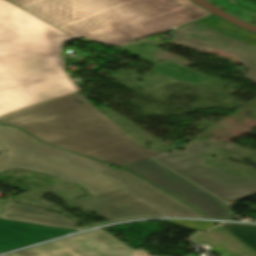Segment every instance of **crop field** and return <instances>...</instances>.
Segmentation results:
<instances>
[{
  "label": "crop field",
  "mask_w": 256,
  "mask_h": 256,
  "mask_svg": "<svg viewBox=\"0 0 256 256\" xmlns=\"http://www.w3.org/2000/svg\"><path fill=\"white\" fill-rule=\"evenodd\" d=\"M223 227L256 252L255 225L226 223L223 225Z\"/></svg>",
  "instance_id": "obj_12"
},
{
  "label": "crop field",
  "mask_w": 256,
  "mask_h": 256,
  "mask_svg": "<svg viewBox=\"0 0 256 256\" xmlns=\"http://www.w3.org/2000/svg\"><path fill=\"white\" fill-rule=\"evenodd\" d=\"M6 256H8V255H6Z\"/></svg>",
  "instance_id": "obj_17"
},
{
  "label": "crop field",
  "mask_w": 256,
  "mask_h": 256,
  "mask_svg": "<svg viewBox=\"0 0 256 256\" xmlns=\"http://www.w3.org/2000/svg\"><path fill=\"white\" fill-rule=\"evenodd\" d=\"M187 150L155 158L215 195L228 201H236L256 195V181L228 175L216 166L207 167L203 153L209 151L202 143L191 141L184 146Z\"/></svg>",
  "instance_id": "obj_5"
},
{
  "label": "crop field",
  "mask_w": 256,
  "mask_h": 256,
  "mask_svg": "<svg viewBox=\"0 0 256 256\" xmlns=\"http://www.w3.org/2000/svg\"><path fill=\"white\" fill-rule=\"evenodd\" d=\"M7 203H8V200L0 199V217H2V215H3L4 211H5Z\"/></svg>",
  "instance_id": "obj_14"
},
{
  "label": "crop field",
  "mask_w": 256,
  "mask_h": 256,
  "mask_svg": "<svg viewBox=\"0 0 256 256\" xmlns=\"http://www.w3.org/2000/svg\"><path fill=\"white\" fill-rule=\"evenodd\" d=\"M0 121L20 127L45 143L116 166L164 154L134 141L79 92Z\"/></svg>",
  "instance_id": "obj_4"
},
{
  "label": "crop field",
  "mask_w": 256,
  "mask_h": 256,
  "mask_svg": "<svg viewBox=\"0 0 256 256\" xmlns=\"http://www.w3.org/2000/svg\"><path fill=\"white\" fill-rule=\"evenodd\" d=\"M193 240L197 242H207L212 246L223 249L233 255L249 250L220 227L202 232L194 236Z\"/></svg>",
  "instance_id": "obj_11"
},
{
  "label": "crop field",
  "mask_w": 256,
  "mask_h": 256,
  "mask_svg": "<svg viewBox=\"0 0 256 256\" xmlns=\"http://www.w3.org/2000/svg\"><path fill=\"white\" fill-rule=\"evenodd\" d=\"M73 37L0 0V90L63 70L61 45ZM76 91L66 72L0 92V116Z\"/></svg>",
  "instance_id": "obj_2"
},
{
  "label": "crop field",
  "mask_w": 256,
  "mask_h": 256,
  "mask_svg": "<svg viewBox=\"0 0 256 256\" xmlns=\"http://www.w3.org/2000/svg\"><path fill=\"white\" fill-rule=\"evenodd\" d=\"M67 33L123 45L212 15L190 0H10Z\"/></svg>",
  "instance_id": "obj_3"
},
{
  "label": "crop field",
  "mask_w": 256,
  "mask_h": 256,
  "mask_svg": "<svg viewBox=\"0 0 256 256\" xmlns=\"http://www.w3.org/2000/svg\"><path fill=\"white\" fill-rule=\"evenodd\" d=\"M169 42L202 49L222 50L237 57L250 71L247 77L256 80V35L221 19H205L175 31Z\"/></svg>",
  "instance_id": "obj_6"
},
{
  "label": "crop field",
  "mask_w": 256,
  "mask_h": 256,
  "mask_svg": "<svg viewBox=\"0 0 256 256\" xmlns=\"http://www.w3.org/2000/svg\"><path fill=\"white\" fill-rule=\"evenodd\" d=\"M10 256H151L144 249L132 250L103 230H95L19 251Z\"/></svg>",
  "instance_id": "obj_8"
},
{
  "label": "crop field",
  "mask_w": 256,
  "mask_h": 256,
  "mask_svg": "<svg viewBox=\"0 0 256 256\" xmlns=\"http://www.w3.org/2000/svg\"><path fill=\"white\" fill-rule=\"evenodd\" d=\"M6 218L39 222L47 225L75 228L76 224L65 216L22 205L11 204Z\"/></svg>",
  "instance_id": "obj_10"
},
{
  "label": "crop field",
  "mask_w": 256,
  "mask_h": 256,
  "mask_svg": "<svg viewBox=\"0 0 256 256\" xmlns=\"http://www.w3.org/2000/svg\"><path fill=\"white\" fill-rule=\"evenodd\" d=\"M167 191L209 218L232 220L230 206L152 159L122 166Z\"/></svg>",
  "instance_id": "obj_7"
},
{
  "label": "crop field",
  "mask_w": 256,
  "mask_h": 256,
  "mask_svg": "<svg viewBox=\"0 0 256 256\" xmlns=\"http://www.w3.org/2000/svg\"><path fill=\"white\" fill-rule=\"evenodd\" d=\"M0 141L6 148L0 173L23 168L77 182L93 196L74 202L109 222L163 215L204 217L127 170L46 145L23 130L1 126Z\"/></svg>",
  "instance_id": "obj_1"
},
{
  "label": "crop field",
  "mask_w": 256,
  "mask_h": 256,
  "mask_svg": "<svg viewBox=\"0 0 256 256\" xmlns=\"http://www.w3.org/2000/svg\"><path fill=\"white\" fill-rule=\"evenodd\" d=\"M179 226H183L186 228H190L193 230H205L209 229L215 225H217L214 222H203V221H179V220H172V221H167Z\"/></svg>",
  "instance_id": "obj_13"
},
{
  "label": "crop field",
  "mask_w": 256,
  "mask_h": 256,
  "mask_svg": "<svg viewBox=\"0 0 256 256\" xmlns=\"http://www.w3.org/2000/svg\"><path fill=\"white\" fill-rule=\"evenodd\" d=\"M1 155H2V149H1V147H0V157H1Z\"/></svg>",
  "instance_id": "obj_16"
},
{
  "label": "crop field",
  "mask_w": 256,
  "mask_h": 256,
  "mask_svg": "<svg viewBox=\"0 0 256 256\" xmlns=\"http://www.w3.org/2000/svg\"><path fill=\"white\" fill-rule=\"evenodd\" d=\"M75 231L0 219V253Z\"/></svg>",
  "instance_id": "obj_9"
},
{
  "label": "crop field",
  "mask_w": 256,
  "mask_h": 256,
  "mask_svg": "<svg viewBox=\"0 0 256 256\" xmlns=\"http://www.w3.org/2000/svg\"><path fill=\"white\" fill-rule=\"evenodd\" d=\"M237 256H256V253L253 252V251H251V250H249V251L244 252V253H242V254H239V255H237Z\"/></svg>",
  "instance_id": "obj_15"
}]
</instances>
